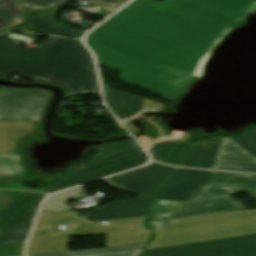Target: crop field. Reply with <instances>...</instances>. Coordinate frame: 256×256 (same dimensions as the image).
<instances>
[{
    "mask_svg": "<svg viewBox=\"0 0 256 256\" xmlns=\"http://www.w3.org/2000/svg\"><path fill=\"white\" fill-rule=\"evenodd\" d=\"M151 230L107 234V247L148 243Z\"/></svg>",
    "mask_w": 256,
    "mask_h": 256,
    "instance_id": "obj_22",
    "label": "crop field"
},
{
    "mask_svg": "<svg viewBox=\"0 0 256 256\" xmlns=\"http://www.w3.org/2000/svg\"><path fill=\"white\" fill-rule=\"evenodd\" d=\"M175 169L151 163L147 167L105 179L111 186L140 194L141 199L111 203L101 209L75 212V214L85 216L88 222L147 216L148 205L152 203L156 189Z\"/></svg>",
    "mask_w": 256,
    "mask_h": 256,
    "instance_id": "obj_4",
    "label": "crop field"
},
{
    "mask_svg": "<svg viewBox=\"0 0 256 256\" xmlns=\"http://www.w3.org/2000/svg\"><path fill=\"white\" fill-rule=\"evenodd\" d=\"M256 10V3L254 5H252L247 11H245L246 13L250 14L253 13Z\"/></svg>",
    "mask_w": 256,
    "mask_h": 256,
    "instance_id": "obj_38",
    "label": "crop field"
},
{
    "mask_svg": "<svg viewBox=\"0 0 256 256\" xmlns=\"http://www.w3.org/2000/svg\"><path fill=\"white\" fill-rule=\"evenodd\" d=\"M31 229L0 232V244L26 241Z\"/></svg>",
    "mask_w": 256,
    "mask_h": 256,
    "instance_id": "obj_29",
    "label": "crop field"
},
{
    "mask_svg": "<svg viewBox=\"0 0 256 256\" xmlns=\"http://www.w3.org/2000/svg\"><path fill=\"white\" fill-rule=\"evenodd\" d=\"M213 169L256 173V161L230 138H225Z\"/></svg>",
    "mask_w": 256,
    "mask_h": 256,
    "instance_id": "obj_13",
    "label": "crop field"
},
{
    "mask_svg": "<svg viewBox=\"0 0 256 256\" xmlns=\"http://www.w3.org/2000/svg\"><path fill=\"white\" fill-rule=\"evenodd\" d=\"M24 244H25V242L0 245V256L23 255L22 251L24 248Z\"/></svg>",
    "mask_w": 256,
    "mask_h": 256,
    "instance_id": "obj_30",
    "label": "crop field"
},
{
    "mask_svg": "<svg viewBox=\"0 0 256 256\" xmlns=\"http://www.w3.org/2000/svg\"><path fill=\"white\" fill-rule=\"evenodd\" d=\"M212 172L178 169L157 191L155 199L187 202Z\"/></svg>",
    "mask_w": 256,
    "mask_h": 256,
    "instance_id": "obj_11",
    "label": "crop field"
},
{
    "mask_svg": "<svg viewBox=\"0 0 256 256\" xmlns=\"http://www.w3.org/2000/svg\"><path fill=\"white\" fill-rule=\"evenodd\" d=\"M239 192L256 199V176L213 172L169 222L246 210L244 205L229 198Z\"/></svg>",
    "mask_w": 256,
    "mask_h": 256,
    "instance_id": "obj_5",
    "label": "crop field"
},
{
    "mask_svg": "<svg viewBox=\"0 0 256 256\" xmlns=\"http://www.w3.org/2000/svg\"><path fill=\"white\" fill-rule=\"evenodd\" d=\"M34 222L0 225V231L31 228Z\"/></svg>",
    "mask_w": 256,
    "mask_h": 256,
    "instance_id": "obj_35",
    "label": "crop field"
},
{
    "mask_svg": "<svg viewBox=\"0 0 256 256\" xmlns=\"http://www.w3.org/2000/svg\"><path fill=\"white\" fill-rule=\"evenodd\" d=\"M24 192L0 191V211L12 203Z\"/></svg>",
    "mask_w": 256,
    "mask_h": 256,
    "instance_id": "obj_32",
    "label": "crop field"
},
{
    "mask_svg": "<svg viewBox=\"0 0 256 256\" xmlns=\"http://www.w3.org/2000/svg\"><path fill=\"white\" fill-rule=\"evenodd\" d=\"M15 26L9 16L0 10V33Z\"/></svg>",
    "mask_w": 256,
    "mask_h": 256,
    "instance_id": "obj_34",
    "label": "crop field"
},
{
    "mask_svg": "<svg viewBox=\"0 0 256 256\" xmlns=\"http://www.w3.org/2000/svg\"><path fill=\"white\" fill-rule=\"evenodd\" d=\"M67 0H24L32 9L60 8ZM74 1V0H70ZM93 3L99 9L113 12L128 0H82Z\"/></svg>",
    "mask_w": 256,
    "mask_h": 256,
    "instance_id": "obj_21",
    "label": "crop field"
},
{
    "mask_svg": "<svg viewBox=\"0 0 256 256\" xmlns=\"http://www.w3.org/2000/svg\"><path fill=\"white\" fill-rule=\"evenodd\" d=\"M154 231L155 239L146 250L190 243V220L167 223L164 228Z\"/></svg>",
    "mask_w": 256,
    "mask_h": 256,
    "instance_id": "obj_16",
    "label": "crop field"
},
{
    "mask_svg": "<svg viewBox=\"0 0 256 256\" xmlns=\"http://www.w3.org/2000/svg\"><path fill=\"white\" fill-rule=\"evenodd\" d=\"M223 139L195 143L182 166L212 169Z\"/></svg>",
    "mask_w": 256,
    "mask_h": 256,
    "instance_id": "obj_18",
    "label": "crop field"
},
{
    "mask_svg": "<svg viewBox=\"0 0 256 256\" xmlns=\"http://www.w3.org/2000/svg\"><path fill=\"white\" fill-rule=\"evenodd\" d=\"M145 246L146 244H141L101 249L32 254L27 256H138Z\"/></svg>",
    "mask_w": 256,
    "mask_h": 256,
    "instance_id": "obj_19",
    "label": "crop field"
},
{
    "mask_svg": "<svg viewBox=\"0 0 256 256\" xmlns=\"http://www.w3.org/2000/svg\"><path fill=\"white\" fill-rule=\"evenodd\" d=\"M139 219L135 220H124V221H112L107 222L108 225L102 223L86 224V225H75L70 226L67 231L53 232L51 228L35 230L30 241L54 239L63 237H73L82 235L102 234L120 231L134 230Z\"/></svg>",
    "mask_w": 256,
    "mask_h": 256,
    "instance_id": "obj_12",
    "label": "crop field"
},
{
    "mask_svg": "<svg viewBox=\"0 0 256 256\" xmlns=\"http://www.w3.org/2000/svg\"><path fill=\"white\" fill-rule=\"evenodd\" d=\"M190 148L191 145L155 144L149 152L155 161L169 165H179Z\"/></svg>",
    "mask_w": 256,
    "mask_h": 256,
    "instance_id": "obj_20",
    "label": "crop field"
},
{
    "mask_svg": "<svg viewBox=\"0 0 256 256\" xmlns=\"http://www.w3.org/2000/svg\"><path fill=\"white\" fill-rule=\"evenodd\" d=\"M0 188L4 189H20V190H28L30 188L24 187L23 184L21 183H5V182H0Z\"/></svg>",
    "mask_w": 256,
    "mask_h": 256,
    "instance_id": "obj_36",
    "label": "crop field"
},
{
    "mask_svg": "<svg viewBox=\"0 0 256 256\" xmlns=\"http://www.w3.org/2000/svg\"><path fill=\"white\" fill-rule=\"evenodd\" d=\"M256 233V210L191 220V243Z\"/></svg>",
    "mask_w": 256,
    "mask_h": 256,
    "instance_id": "obj_8",
    "label": "crop field"
},
{
    "mask_svg": "<svg viewBox=\"0 0 256 256\" xmlns=\"http://www.w3.org/2000/svg\"><path fill=\"white\" fill-rule=\"evenodd\" d=\"M41 136L42 122L0 121V181L34 183L29 178L23 148Z\"/></svg>",
    "mask_w": 256,
    "mask_h": 256,
    "instance_id": "obj_7",
    "label": "crop field"
},
{
    "mask_svg": "<svg viewBox=\"0 0 256 256\" xmlns=\"http://www.w3.org/2000/svg\"><path fill=\"white\" fill-rule=\"evenodd\" d=\"M256 131V130H255Z\"/></svg>",
    "mask_w": 256,
    "mask_h": 256,
    "instance_id": "obj_40",
    "label": "crop field"
},
{
    "mask_svg": "<svg viewBox=\"0 0 256 256\" xmlns=\"http://www.w3.org/2000/svg\"><path fill=\"white\" fill-rule=\"evenodd\" d=\"M145 219H146V217L141 218L136 230L148 229V227L144 226Z\"/></svg>",
    "mask_w": 256,
    "mask_h": 256,
    "instance_id": "obj_37",
    "label": "crop field"
},
{
    "mask_svg": "<svg viewBox=\"0 0 256 256\" xmlns=\"http://www.w3.org/2000/svg\"><path fill=\"white\" fill-rule=\"evenodd\" d=\"M171 218L172 216L150 214L147 220V226L151 228L163 227Z\"/></svg>",
    "mask_w": 256,
    "mask_h": 256,
    "instance_id": "obj_31",
    "label": "crop field"
},
{
    "mask_svg": "<svg viewBox=\"0 0 256 256\" xmlns=\"http://www.w3.org/2000/svg\"><path fill=\"white\" fill-rule=\"evenodd\" d=\"M184 203L156 200L150 213L174 215Z\"/></svg>",
    "mask_w": 256,
    "mask_h": 256,
    "instance_id": "obj_27",
    "label": "crop field"
},
{
    "mask_svg": "<svg viewBox=\"0 0 256 256\" xmlns=\"http://www.w3.org/2000/svg\"><path fill=\"white\" fill-rule=\"evenodd\" d=\"M141 256H256V234L148 250Z\"/></svg>",
    "mask_w": 256,
    "mask_h": 256,
    "instance_id": "obj_9",
    "label": "crop field"
},
{
    "mask_svg": "<svg viewBox=\"0 0 256 256\" xmlns=\"http://www.w3.org/2000/svg\"><path fill=\"white\" fill-rule=\"evenodd\" d=\"M256 0H135L89 36L194 76L211 42Z\"/></svg>",
    "mask_w": 256,
    "mask_h": 256,
    "instance_id": "obj_1",
    "label": "crop field"
},
{
    "mask_svg": "<svg viewBox=\"0 0 256 256\" xmlns=\"http://www.w3.org/2000/svg\"><path fill=\"white\" fill-rule=\"evenodd\" d=\"M98 63L121 71L120 79L172 99L179 96L192 76L138 56L118 47L87 37Z\"/></svg>",
    "mask_w": 256,
    "mask_h": 256,
    "instance_id": "obj_3",
    "label": "crop field"
},
{
    "mask_svg": "<svg viewBox=\"0 0 256 256\" xmlns=\"http://www.w3.org/2000/svg\"><path fill=\"white\" fill-rule=\"evenodd\" d=\"M0 7L5 9L17 24L27 16L28 8L20 0H0Z\"/></svg>",
    "mask_w": 256,
    "mask_h": 256,
    "instance_id": "obj_26",
    "label": "crop field"
},
{
    "mask_svg": "<svg viewBox=\"0 0 256 256\" xmlns=\"http://www.w3.org/2000/svg\"><path fill=\"white\" fill-rule=\"evenodd\" d=\"M70 240L71 239H55L30 242L27 254L68 250L67 244Z\"/></svg>",
    "mask_w": 256,
    "mask_h": 256,
    "instance_id": "obj_25",
    "label": "crop field"
},
{
    "mask_svg": "<svg viewBox=\"0 0 256 256\" xmlns=\"http://www.w3.org/2000/svg\"><path fill=\"white\" fill-rule=\"evenodd\" d=\"M36 51L0 37V78L14 74L69 89V95L100 94L91 54L80 41L48 37Z\"/></svg>",
    "mask_w": 256,
    "mask_h": 256,
    "instance_id": "obj_2",
    "label": "crop field"
},
{
    "mask_svg": "<svg viewBox=\"0 0 256 256\" xmlns=\"http://www.w3.org/2000/svg\"><path fill=\"white\" fill-rule=\"evenodd\" d=\"M129 219H135V218H129ZM121 220H124V219H121ZM93 223H96V222H93ZM85 224V223H84ZM75 225V224H74Z\"/></svg>",
    "mask_w": 256,
    "mask_h": 256,
    "instance_id": "obj_39",
    "label": "crop field"
},
{
    "mask_svg": "<svg viewBox=\"0 0 256 256\" xmlns=\"http://www.w3.org/2000/svg\"><path fill=\"white\" fill-rule=\"evenodd\" d=\"M82 196L81 189L76 188L47 199L42 207V210L47 211H62L68 210L66 202Z\"/></svg>",
    "mask_w": 256,
    "mask_h": 256,
    "instance_id": "obj_24",
    "label": "crop field"
},
{
    "mask_svg": "<svg viewBox=\"0 0 256 256\" xmlns=\"http://www.w3.org/2000/svg\"><path fill=\"white\" fill-rule=\"evenodd\" d=\"M256 201V200H255Z\"/></svg>",
    "mask_w": 256,
    "mask_h": 256,
    "instance_id": "obj_41",
    "label": "crop field"
},
{
    "mask_svg": "<svg viewBox=\"0 0 256 256\" xmlns=\"http://www.w3.org/2000/svg\"><path fill=\"white\" fill-rule=\"evenodd\" d=\"M51 93L6 87L0 92V120L41 121Z\"/></svg>",
    "mask_w": 256,
    "mask_h": 256,
    "instance_id": "obj_10",
    "label": "crop field"
},
{
    "mask_svg": "<svg viewBox=\"0 0 256 256\" xmlns=\"http://www.w3.org/2000/svg\"><path fill=\"white\" fill-rule=\"evenodd\" d=\"M236 24V23H235ZM235 24H232L231 26H229L221 35L217 36L216 39L212 42L213 43V49L219 45L221 43V41L223 40V38L228 35L230 33V31L235 28L233 27ZM212 53V52H211ZM211 53L209 54L207 60L209 59ZM207 62V61H206ZM206 64V63H205ZM204 67L205 65L198 71V73L195 75V77H199L201 78L204 72Z\"/></svg>",
    "mask_w": 256,
    "mask_h": 256,
    "instance_id": "obj_33",
    "label": "crop field"
},
{
    "mask_svg": "<svg viewBox=\"0 0 256 256\" xmlns=\"http://www.w3.org/2000/svg\"><path fill=\"white\" fill-rule=\"evenodd\" d=\"M103 153L91 164L72 169L52 186L39 190L41 193H52L100 177H106L132 168L148 161V156L135 142L128 140L98 147Z\"/></svg>",
    "mask_w": 256,
    "mask_h": 256,
    "instance_id": "obj_6",
    "label": "crop field"
},
{
    "mask_svg": "<svg viewBox=\"0 0 256 256\" xmlns=\"http://www.w3.org/2000/svg\"><path fill=\"white\" fill-rule=\"evenodd\" d=\"M87 222L85 217H76L74 212L48 213L41 212L36 227Z\"/></svg>",
    "mask_w": 256,
    "mask_h": 256,
    "instance_id": "obj_23",
    "label": "crop field"
},
{
    "mask_svg": "<svg viewBox=\"0 0 256 256\" xmlns=\"http://www.w3.org/2000/svg\"><path fill=\"white\" fill-rule=\"evenodd\" d=\"M237 144L248 151L252 156L256 158V132H249L241 134L237 137L232 138Z\"/></svg>",
    "mask_w": 256,
    "mask_h": 256,
    "instance_id": "obj_28",
    "label": "crop field"
},
{
    "mask_svg": "<svg viewBox=\"0 0 256 256\" xmlns=\"http://www.w3.org/2000/svg\"><path fill=\"white\" fill-rule=\"evenodd\" d=\"M45 195L27 192L0 215V224L34 221Z\"/></svg>",
    "mask_w": 256,
    "mask_h": 256,
    "instance_id": "obj_15",
    "label": "crop field"
},
{
    "mask_svg": "<svg viewBox=\"0 0 256 256\" xmlns=\"http://www.w3.org/2000/svg\"><path fill=\"white\" fill-rule=\"evenodd\" d=\"M103 89L107 105L121 121L140 112L143 99L104 86Z\"/></svg>",
    "mask_w": 256,
    "mask_h": 256,
    "instance_id": "obj_17",
    "label": "crop field"
},
{
    "mask_svg": "<svg viewBox=\"0 0 256 256\" xmlns=\"http://www.w3.org/2000/svg\"><path fill=\"white\" fill-rule=\"evenodd\" d=\"M58 10L32 11L26 23L14 28L15 30L35 33L82 38L83 33L64 28L55 21Z\"/></svg>",
    "mask_w": 256,
    "mask_h": 256,
    "instance_id": "obj_14",
    "label": "crop field"
}]
</instances>
